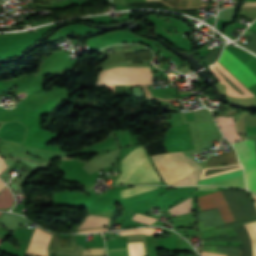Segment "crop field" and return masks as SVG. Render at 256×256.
<instances>
[{
  "mask_svg": "<svg viewBox=\"0 0 256 256\" xmlns=\"http://www.w3.org/2000/svg\"><path fill=\"white\" fill-rule=\"evenodd\" d=\"M220 192L234 221L256 217V209L247 193L230 190H221ZM220 192L198 197V206L200 210L217 207L223 222H231L233 220Z\"/></svg>",
  "mask_w": 256,
  "mask_h": 256,
  "instance_id": "crop-field-1",
  "label": "crop field"
},
{
  "mask_svg": "<svg viewBox=\"0 0 256 256\" xmlns=\"http://www.w3.org/2000/svg\"><path fill=\"white\" fill-rule=\"evenodd\" d=\"M152 159L168 185L196 184L201 174L200 165L183 151L153 156Z\"/></svg>",
  "mask_w": 256,
  "mask_h": 256,
  "instance_id": "crop-field-2",
  "label": "crop field"
},
{
  "mask_svg": "<svg viewBox=\"0 0 256 256\" xmlns=\"http://www.w3.org/2000/svg\"><path fill=\"white\" fill-rule=\"evenodd\" d=\"M143 147H139L122 161V175L113 183H159Z\"/></svg>",
  "mask_w": 256,
  "mask_h": 256,
  "instance_id": "crop-field-3",
  "label": "crop field"
},
{
  "mask_svg": "<svg viewBox=\"0 0 256 256\" xmlns=\"http://www.w3.org/2000/svg\"><path fill=\"white\" fill-rule=\"evenodd\" d=\"M152 85V73L145 67H119L102 70L97 85Z\"/></svg>",
  "mask_w": 256,
  "mask_h": 256,
  "instance_id": "crop-field-4",
  "label": "crop field"
},
{
  "mask_svg": "<svg viewBox=\"0 0 256 256\" xmlns=\"http://www.w3.org/2000/svg\"><path fill=\"white\" fill-rule=\"evenodd\" d=\"M245 171L248 189L256 193V149L254 140L233 144Z\"/></svg>",
  "mask_w": 256,
  "mask_h": 256,
  "instance_id": "crop-field-5",
  "label": "crop field"
},
{
  "mask_svg": "<svg viewBox=\"0 0 256 256\" xmlns=\"http://www.w3.org/2000/svg\"><path fill=\"white\" fill-rule=\"evenodd\" d=\"M256 218L241 220L231 223H226L220 226H216L215 229H223L233 227L237 236L242 241V253L241 256H252V248H251V239L252 238V247H253V256H256V222L247 224L246 227L250 232V235L244 224L254 222Z\"/></svg>",
  "mask_w": 256,
  "mask_h": 256,
  "instance_id": "crop-field-6",
  "label": "crop field"
},
{
  "mask_svg": "<svg viewBox=\"0 0 256 256\" xmlns=\"http://www.w3.org/2000/svg\"><path fill=\"white\" fill-rule=\"evenodd\" d=\"M219 62L246 87L256 83V76L253 74V72L229 51L224 50Z\"/></svg>",
  "mask_w": 256,
  "mask_h": 256,
  "instance_id": "crop-field-7",
  "label": "crop field"
},
{
  "mask_svg": "<svg viewBox=\"0 0 256 256\" xmlns=\"http://www.w3.org/2000/svg\"><path fill=\"white\" fill-rule=\"evenodd\" d=\"M199 184H214V185L245 187L242 170L220 175L210 179H206L199 182Z\"/></svg>",
  "mask_w": 256,
  "mask_h": 256,
  "instance_id": "crop-field-8",
  "label": "crop field"
},
{
  "mask_svg": "<svg viewBox=\"0 0 256 256\" xmlns=\"http://www.w3.org/2000/svg\"><path fill=\"white\" fill-rule=\"evenodd\" d=\"M145 1H153V0H145ZM113 4H124L130 2V0H112ZM125 6L134 9V8H163V9H171L175 11H179L181 13L189 14L194 17H198V8L195 9H184V10H177L174 8H170L169 6L165 5L160 1L154 2H135V3H128L124 4Z\"/></svg>",
  "mask_w": 256,
  "mask_h": 256,
  "instance_id": "crop-field-9",
  "label": "crop field"
},
{
  "mask_svg": "<svg viewBox=\"0 0 256 256\" xmlns=\"http://www.w3.org/2000/svg\"><path fill=\"white\" fill-rule=\"evenodd\" d=\"M51 236V234L36 228L26 252L47 256L46 250Z\"/></svg>",
  "mask_w": 256,
  "mask_h": 256,
  "instance_id": "crop-field-10",
  "label": "crop field"
},
{
  "mask_svg": "<svg viewBox=\"0 0 256 256\" xmlns=\"http://www.w3.org/2000/svg\"><path fill=\"white\" fill-rule=\"evenodd\" d=\"M219 127H221V130L223 133L227 136V138L231 142H236L242 140L240 135L237 133L235 129V121L233 117H223V116H217L215 117Z\"/></svg>",
  "mask_w": 256,
  "mask_h": 256,
  "instance_id": "crop-field-11",
  "label": "crop field"
},
{
  "mask_svg": "<svg viewBox=\"0 0 256 256\" xmlns=\"http://www.w3.org/2000/svg\"><path fill=\"white\" fill-rule=\"evenodd\" d=\"M198 217L199 231L223 223L216 208L207 211H200L198 212Z\"/></svg>",
  "mask_w": 256,
  "mask_h": 256,
  "instance_id": "crop-field-12",
  "label": "crop field"
},
{
  "mask_svg": "<svg viewBox=\"0 0 256 256\" xmlns=\"http://www.w3.org/2000/svg\"><path fill=\"white\" fill-rule=\"evenodd\" d=\"M134 1H144V0H131V2H134ZM160 1L168 5L171 0H160ZM208 4L209 3L202 4L201 0H172L169 6L175 7L177 9H183V8H195V7L200 8Z\"/></svg>",
  "mask_w": 256,
  "mask_h": 256,
  "instance_id": "crop-field-13",
  "label": "crop field"
},
{
  "mask_svg": "<svg viewBox=\"0 0 256 256\" xmlns=\"http://www.w3.org/2000/svg\"><path fill=\"white\" fill-rule=\"evenodd\" d=\"M233 162H238L234 150L212 156L206 166Z\"/></svg>",
  "mask_w": 256,
  "mask_h": 256,
  "instance_id": "crop-field-14",
  "label": "crop field"
},
{
  "mask_svg": "<svg viewBox=\"0 0 256 256\" xmlns=\"http://www.w3.org/2000/svg\"><path fill=\"white\" fill-rule=\"evenodd\" d=\"M108 218L90 216L85 220L79 229L107 226Z\"/></svg>",
  "mask_w": 256,
  "mask_h": 256,
  "instance_id": "crop-field-15",
  "label": "crop field"
},
{
  "mask_svg": "<svg viewBox=\"0 0 256 256\" xmlns=\"http://www.w3.org/2000/svg\"><path fill=\"white\" fill-rule=\"evenodd\" d=\"M168 211L172 216L191 212V198L177 204Z\"/></svg>",
  "mask_w": 256,
  "mask_h": 256,
  "instance_id": "crop-field-16",
  "label": "crop field"
},
{
  "mask_svg": "<svg viewBox=\"0 0 256 256\" xmlns=\"http://www.w3.org/2000/svg\"><path fill=\"white\" fill-rule=\"evenodd\" d=\"M13 204V196L6 187L1 193H0V208H9Z\"/></svg>",
  "mask_w": 256,
  "mask_h": 256,
  "instance_id": "crop-field-17",
  "label": "crop field"
},
{
  "mask_svg": "<svg viewBox=\"0 0 256 256\" xmlns=\"http://www.w3.org/2000/svg\"><path fill=\"white\" fill-rule=\"evenodd\" d=\"M159 186H138L135 188H131V189H127V190H123L121 191V196L123 197H127L133 194H137V193H141L144 191H148V190H152L155 188H158Z\"/></svg>",
  "mask_w": 256,
  "mask_h": 256,
  "instance_id": "crop-field-18",
  "label": "crop field"
},
{
  "mask_svg": "<svg viewBox=\"0 0 256 256\" xmlns=\"http://www.w3.org/2000/svg\"><path fill=\"white\" fill-rule=\"evenodd\" d=\"M129 256L145 255L143 243H128Z\"/></svg>",
  "mask_w": 256,
  "mask_h": 256,
  "instance_id": "crop-field-19",
  "label": "crop field"
},
{
  "mask_svg": "<svg viewBox=\"0 0 256 256\" xmlns=\"http://www.w3.org/2000/svg\"><path fill=\"white\" fill-rule=\"evenodd\" d=\"M57 237H58V236H54V237H53V240H52V244H51V248H50V249H54V248H55V244H56V241H57ZM66 237H72L73 249H71V250H67V249H63V248H58L61 238H66ZM75 248H76L75 236H59V237H58V241H57V244H56V248H55V249H58V250H66V251H75Z\"/></svg>",
  "mask_w": 256,
  "mask_h": 256,
  "instance_id": "crop-field-20",
  "label": "crop field"
},
{
  "mask_svg": "<svg viewBox=\"0 0 256 256\" xmlns=\"http://www.w3.org/2000/svg\"><path fill=\"white\" fill-rule=\"evenodd\" d=\"M136 233L155 234L154 228H143V229H133V230L122 231L120 232V235H129V234H136Z\"/></svg>",
  "mask_w": 256,
  "mask_h": 256,
  "instance_id": "crop-field-21",
  "label": "crop field"
},
{
  "mask_svg": "<svg viewBox=\"0 0 256 256\" xmlns=\"http://www.w3.org/2000/svg\"><path fill=\"white\" fill-rule=\"evenodd\" d=\"M215 241H240L238 237H228V235L206 238L204 242H215Z\"/></svg>",
  "mask_w": 256,
  "mask_h": 256,
  "instance_id": "crop-field-22",
  "label": "crop field"
},
{
  "mask_svg": "<svg viewBox=\"0 0 256 256\" xmlns=\"http://www.w3.org/2000/svg\"><path fill=\"white\" fill-rule=\"evenodd\" d=\"M108 256H128L127 248L107 250Z\"/></svg>",
  "mask_w": 256,
  "mask_h": 256,
  "instance_id": "crop-field-23",
  "label": "crop field"
},
{
  "mask_svg": "<svg viewBox=\"0 0 256 256\" xmlns=\"http://www.w3.org/2000/svg\"><path fill=\"white\" fill-rule=\"evenodd\" d=\"M104 250L103 249H88L84 250L82 256H97V255H103Z\"/></svg>",
  "mask_w": 256,
  "mask_h": 256,
  "instance_id": "crop-field-24",
  "label": "crop field"
},
{
  "mask_svg": "<svg viewBox=\"0 0 256 256\" xmlns=\"http://www.w3.org/2000/svg\"><path fill=\"white\" fill-rule=\"evenodd\" d=\"M133 220H137V221H140V222H143V223L151 224V223L155 222L157 219L149 218V217L142 216V215H139V214H135L134 217H133Z\"/></svg>",
  "mask_w": 256,
  "mask_h": 256,
  "instance_id": "crop-field-25",
  "label": "crop field"
},
{
  "mask_svg": "<svg viewBox=\"0 0 256 256\" xmlns=\"http://www.w3.org/2000/svg\"><path fill=\"white\" fill-rule=\"evenodd\" d=\"M7 164L4 162L3 158L0 157V174H2L7 168Z\"/></svg>",
  "mask_w": 256,
  "mask_h": 256,
  "instance_id": "crop-field-26",
  "label": "crop field"
},
{
  "mask_svg": "<svg viewBox=\"0 0 256 256\" xmlns=\"http://www.w3.org/2000/svg\"><path fill=\"white\" fill-rule=\"evenodd\" d=\"M198 189L216 190V187L198 186Z\"/></svg>",
  "mask_w": 256,
  "mask_h": 256,
  "instance_id": "crop-field-27",
  "label": "crop field"
},
{
  "mask_svg": "<svg viewBox=\"0 0 256 256\" xmlns=\"http://www.w3.org/2000/svg\"><path fill=\"white\" fill-rule=\"evenodd\" d=\"M202 256H224V255L203 252Z\"/></svg>",
  "mask_w": 256,
  "mask_h": 256,
  "instance_id": "crop-field-28",
  "label": "crop field"
},
{
  "mask_svg": "<svg viewBox=\"0 0 256 256\" xmlns=\"http://www.w3.org/2000/svg\"><path fill=\"white\" fill-rule=\"evenodd\" d=\"M242 5V4H241ZM242 6H256V2H247V3H243Z\"/></svg>",
  "mask_w": 256,
  "mask_h": 256,
  "instance_id": "crop-field-29",
  "label": "crop field"
},
{
  "mask_svg": "<svg viewBox=\"0 0 256 256\" xmlns=\"http://www.w3.org/2000/svg\"><path fill=\"white\" fill-rule=\"evenodd\" d=\"M106 228H102V229H95V230H90V231H84V232H102V231H106Z\"/></svg>",
  "mask_w": 256,
  "mask_h": 256,
  "instance_id": "crop-field-30",
  "label": "crop field"
},
{
  "mask_svg": "<svg viewBox=\"0 0 256 256\" xmlns=\"http://www.w3.org/2000/svg\"><path fill=\"white\" fill-rule=\"evenodd\" d=\"M6 185L0 180V191L5 187Z\"/></svg>",
  "mask_w": 256,
  "mask_h": 256,
  "instance_id": "crop-field-31",
  "label": "crop field"
},
{
  "mask_svg": "<svg viewBox=\"0 0 256 256\" xmlns=\"http://www.w3.org/2000/svg\"><path fill=\"white\" fill-rule=\"evenodd\" d=\"M252 195V194H251ZM254 201H255V205H256V196L255 195H252Z\"/></svg>",
  "mask_w": 256,
  "mask_h": 256,
  "instance_id": "crop-field-32",
  "label": "crop field"
},
{
  "mask_svg": "<svg viewBox=\"0 0 256 256\" xmlns=\"http://www.w3.org/2000/svg\"><path fill=\"white\" fill-rule=\"evenodd\" d=\"M170 59H172V58H170ZM173 60V59H172ZM174 61V60H173ZM174 62H176V61H174ZM177 63V62H176Z\"/></svg>",
  "mask_w": 256,
  "mask_h": 256,
  "instance_id": "crop-field-33",
  "label": "crop field"
},
{
  "mask_svg": "<svg viewBox=\"0 0 256 256\" xmlns=\"http://www.w3.org/2000/svg\"><path fill=\"white\" fill-rule=\"evenodd\" d=\"M0 242H1V239H0Z\"/></svg>",
  "mask_w": 256,
  "mask_h": 256,
  "instance_id": "crop-field-34",
  "label": "crop field"
},
{
  "mask_svg": "<svg viewBox=\"0 0 256 256\" xmlns=\"http://www.w3.org/2000/svg\"><path fill=\"white\" fill-rule=\"evenodd\" d=\"M1 213V212H0Z\"/></svg>",
  "mask_w": 256,
  "mask_h": 256,
  "instance_id": "crop-field-35",
  "label": "crop field"
}]
</instances>
